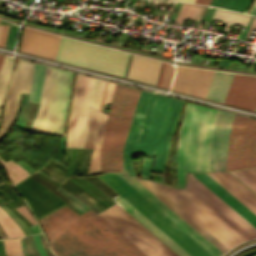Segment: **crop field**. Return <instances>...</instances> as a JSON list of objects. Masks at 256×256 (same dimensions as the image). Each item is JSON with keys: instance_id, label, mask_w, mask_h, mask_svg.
I'll return each instance as SVG.
<instances>
[{"instance_id": "8a807250", "label": "crop field", "mask_w": 256, "mask_h": 256, "mask_svg": "<svg viewBox=\"0 0 256 256\" xmlns=\"http://www.w3.org/2000/svg\"><path fill=\"white\" fill-rule=\"evenodd\" d=\"M181 102L140 92L123 150V171H128L134 177L131 156L136 152L149 155V158H143L140 177L148 179L154 154L156 159L152 171L164 173V163Z\"/></svg>"}, {"instance_id": "ac0d7876", "label": "crop field", "mask_w": 256, "mask_h": 256, "mask_svg": "<svg viewBox=\"0 0 256 256\" xmlns=\"http://www.w3.org/2000/svg\"><path fill=\"white\" fill-rule=\"evenodd\" d=\"M39 223L57 256H138L87 212L64 206Z\"/></svg>"}, {"instance_id": "34b2d1b8", "label": "crop field", "mask_w": 256, "mask_h": 256, "mask_svg": "<svg viewBox=\"0 0 256 256\" xmlns=\"http://www.w3.org/2000/svg\"><path fill=\"white\" fill-rule=\"evenodd\" d=\"M152 183L229 249L256 238V229L190 173L185 189Z\"/></svg>"}, {"instance_id": "412701ff", "label": "crop field", "mask_w": 256, "mask_h": 256, "mask_svg": "<svg viewBox=\"0 0 256 256\" xmlns=\"http://www.w3.org/2000/svg\"><path fill=\"white\" fill-rule=\"evenodd\" d=\"M216 112L187 102L178 137L176 187H184L186 171H208Z\"/></svg>"}, {"instance_id": "f4fd0767", "label": "crop field", "mask_w": 256, "mask_h": 256, "mask_svg": "<svg viewBox=\"0 0 256 256\" xmlns=\"http://www.w3.org/2000/svg\"><path fill=\"white\" fill-rule=\"evenodd\" d=\"M139 90L116 85L100 147L101 172L122 171V150Z\"/></svg>"}, {"instance_id": "dd49c442", "label": "crop field", "mask_w": 256, "mask_h": 256, "mask_svg": "<svg viewBox=\"0 0 256 256\" xmlns=\"http://www.w3.org/2000/svg\"><path fill=\"white\" fill-rule=\"evenodd\" d=\"M128 55L61 36L55 60L123 77Z\"/></svg>"}, {"instance_id": "e52e79f7", "label": "crop field", "mask_w": 256, "mask_h": 256, "mask_svg": "<svg viewBox=\"0 0 256 256\" xmlns=\"http://www.w3.org/2000/svg\"><path fill=\"white\" fill-rule=\"evenodd\" d=\"M98 178L152 221L191 256H211L115 173L100 175Z\"/></svg>"}, {"instance_id": "d8731c3e", "label": "crop field", "mask_w": 256, "mask_h": 256, "mask_svg": "<svg viewBox=\"0 0 256 256\" xmlns=\"http://www.w3.org/2000/svg\"><path fill=\"white\" fill-rule=\"evenodd\" d=\"M73 75L53 68L41 133L63 135Z\"/></svg>"}, {"instance_id": "5a996713", "label": "crop field", "mask_w": 256, "mask_h": 256, "mask_svg": "<svg viewBox=\"0 0 256 256\" xmlns=\"http://www.w3.org/2000/svg\"><path fill=\"white\" fill-rule=\"evenodd\" d=\"M147 256H177L117 205L98 214Z\"/></svg>"}, {"instance_id": "3316defc", "label": "crop field", "mask_w": 256, "mask_h": 256, "mask_svg": "<svg viewBox=\"0 0 256 256\" xmlns=\"http://www.w3.org/2000/svg\"><path fill=\"white\" fill-rule=\"evenodd\" d=\"M256 166V120L234 116L226 170Z\"/></svg>"}, {"instance_id": "28ad6ade", "label": "crop field", "mask_w": 256, "mask_h": 256, "mask_svg": "<svg viewBox=\"0 0 256 256\" xmlns=\"http://www.w3.org/2000/svg\"><path fill=\"white\" fill-rule=\"evenodd\" d=\"M33 66L34 64L19 59L12 74L0 127V140L7 134L15 120L21 92L29 93Z\"/></svg>"}, {"instance_id": "d1516ede", "label": "crop field", "mask_w": 256, "mask_h": 256, "mask_svg": "<svg viewBox=\"0 0 256 256\" xmlns=\"http://www.w3.org/2000/svg\"><path fill=\"white\" fill-rule=\"evenodd\" d=\"M94 81V78L77 74L67 133V147L79 145Z\"/></svg>"}, {"instance_id": "22f410ed", "label": "crop field", "mask_w": 256, "mask_h": 256, "mask_svg": "<svg viewBox=\"0 0 256 256\" xmlns=\"http://www.w3.org/2000/svg\"><path fill=\"white\" fill-rule=\"evenodd\" d=\"M130 186H132L137 192H139L144 198H146L151 204H153L158 210L166 215L171 221H173L178 227H180L185 233H187L192 239L200 244L205 250H207L213 256H221L223 253L213 246L208 240L194 230L189 224L181 219L176 213L168 208L163 202L149 192L144 186H142L134 178L128 176L126 172L116 173Z\"/></svg>"}, {"instance_id": "cbeb9de0", "label": "crop field", "mask_w": 256, "mask_h": 256, "mask_svg": "<svg viewBox=\"0 0 256 256\" xmlns=\"http://www.w3.org/2000/svg\"><path fill=\"white\" fill-rule=\"evenodd\" d=\"M234 114L217 112L211 140L209 171L225 170L227 141Z\"/></svg>"}, {"instance_id": "5142ce71", "label": "crop field", "mask_w": 256, "mask_h": 256, "mask_svg": "<svg viewBox=\"0 0 256 256\" xmlns=\"http://www.w3.org/2000/svg\"><path fill=\"white\" fill-rule=\"evenodd\" d=\"M29 180L32 184H34L36 187H38L40 190H42L44 193L48 194L53 200L57 201L61 205L66 204L61 199H59L54 193L40 185L37 181H35L30 176L26 178ZM23 180L21 182L25 183L27 186H29L32 190L39 193L41 196H43L46 200H48L50 203H52L57 208L60 207L57 202L53 201L48 195L44 194L42 191H40L38 188L33 186L30 182L27 180ZM18 183L14 185V187L20 192V194L23 196V198L26 200V202L29 204L32 212L34 213L36 219L48 214L49 212L55 210L54 206L51 205L49 202H47L44 198H42L40 195L36 194L34 191H32L29 187H27L23 183ZM56 208V209H57Z\"/></svg>"}, {"instance_id": "d9b57169", "label": "crop field", "mask_w": 256, "mask_h": 256, "mask_svg": "<svg viewBox=\"0 0 256 256\" xmlns=\"http://www.w3.org/2000/svg\"><path fill=\"white\" fill-rule=\"evenodd\" d=\"M105 81L100 82L86 142L84 148H92V156L89 164L88 171L100 170L99 169V147L103 135V130L106 122L107 115L99 111L104 88Z\"/></svg>"}, {"instance_id": "733c2abd", "label": "crop field", "mask_w": 256, "mask_h": 256, "mask_svg": "<svg viewBox=\"0 0 256 256\" xmlns=\"http://www.w3.org/2000/svg\"><path fill=\"white\" fill-rule=\"evenodd\" d=\"M223 103L253 111L256 106V77L235 74Z\"/></svg>"}, {"instance_id": "4a817a6b", "label": "crop field", "mask_w": 256, "mask_h": 256, "mask_svg": "<svg viewBox=\"0 0 256 256\" xmlns=\"http://www.w3.org/2000/svg\"><path fill=\"white\" fill-rule=\"evenodd\" d=\"M207 71L208 70L205 69L177 66L171 90L199 97ZM210 76L211 73L209 72L205 82L203 94L201 93L203 96L206 93ZM203 96L200 97L204 98Z\"/></svg>"}, {"instance_id": "bc2a9ffb", "label": "crop field", "mask_w": 256, "mask_h": 256, "mask_svg": "<svg viewBox=\"0 0 256 256\" xmlns=\"http://www.w3.org/2000/svg\"><path fill=\"white\" fill-rule=\"evenodd\" d=\"M59 38L58 35L25 28L20 51L54 60Z\"/></svg>"}, {"instance_id": "214f88e0", "label": "crop field", "mask_w": 256, "mask_h": 256, "mask_svg": "<svg viewBox=\"0 0 256 256\" xmlns=\"http://www.w3.org/2000/svg\"><path fill=\"white\" fill-rule=\"evenodd\" d=\"M256 215V196L227 172L207 173Z\"/></svg>"}, {"instance_id": "92a150f3", "label": "crop field", "mask_w": 256, "mask_h": 256, "mask_svg": "<svg viewBox=\"0 0 256 256\" xmlns=\"http://www.w3.org/2000/svg\"><path fill=\"white\" fill-rule=\"evenodd\" d=\"M161 63L133 55L127 78L155 85Z\"/></svg>"}, {"instance_id": "dafd665d", "label": "crop field", "mask_w": 256, "mask_h": 256, "mask_svg": "<svg viewBox=\"0 0 256 256\" xmlns=\"http://www.w3.org/2000/svg\"><path fill=\"white\" fill-rule=\"evenodd\" d=\"M200 181L208 186L213 192H215L220 198L228 203L233 209H235L240 215H242L247 221L256 227V216L242 205L237 199H235L230 193H228L223 187L215 182L206 173L194 174Z\"/></svg>"}, {"instance_id": "00972430", "label": "crop field", "mask_w": 256, "mask_h": 256, "mask_svg": "<svg viewBox=\"0 0 256 256\" xmlns=\"http://www.w3.org/2000/svg\"><path fill=\"white\" fill-rule=\"evenodd\" d=\"M136 180H138L149 191H151L155 196H157L161 201H163L168 207H170L174 212H176L181 218H183L187 223H189L194 229H196L200 234H202L206 239H208L219 250H221L223 253L228 250L213 236H211L206 230H204L199 224H197L192 218H190L186 213H184L179 207H177L172 201H170L165 195H163L159 190H157L152 184L145 180Z\"/></svg>"}, {"instance_id": "a9b5d70f", "label": "crop field", "mask_w": 256, "mask_h": 256, "mask_svg": "<svg viewBox=\"0 0 256 256\" xmlns=\"http://www.w3.org/2000/svg\"><path fill=\"white\" fill-rule=\"evenodd\" d=\"M233 75L215 71L205 98L222 103Z\"/></svg>"}, {"instance_id": "4177f3b9", "label": "crop field", "mask_w": 256, "mask_h": 256, "mask_svg": "<svg viewBox=\"0 0 256 256\" xmlns=\"http://www.w3.org/2000/svg\"><path fill=\"white\" fill-rule=\"evenodd\" d=\"M115 200L122 205L127 211H129L135 218H137L142 224L152 230L157 236H159L164 242H166L170 247H172L181 256H190L182 248H180L176 243H174L170 238H168L164 233H162L158 228H156L149 220H147L143 215H141L137 210H135L131 205H129L120 196L115 198Z\"/></svg>"}, {"instance_id": "730fd06b", "label": "crop field", "mask_w": 256, "mask_h": 256, "mask_svg": "<svg viewBox=\"0 0 256 256\" xmlns=\"http://www.w3.org/2000/svg\"><path fill=\"white\" fill-rule=\"evenodd\" d=\"M75 179V178H74ZM74 179H72V178H69V180H71L72 182H74V183H76V184H78L79 186H81L83 189H85L87 192H89L91 195H93L94 197H96L98 200H100L101 202H103L104 204H106L108 207L109 206H111L110 204H108V203H106L105 201H103L102 199L104 198L105 200H107L109 203H111L112 205H114V204H116L115 202H113L112 200H110L107 196H105L102 192H100L98 189H96L94 186H92L89 182H87L85 179H83L82 177H79V178H77L79 181H81L82 183H84L85 185H87V186H89L91 189H93L96 193H98L101 197H103L102 199L101 198H99L97 195H95L96 193L93 191V190H91L89 187H87L88 189H90L91 191H93V192H91L90 190H88L86 187H84L83 185H81L80 183H78L77 181H75ZM68 179L66 180V181H68L69 183H71V184H73L71 181H69ZM64 182L63 184H62V186L61 187H63V188H65V189H67V190H69V191H71V192H73V193H77V192H80L81 190L83 191V192H85L86 194H88L89 196H91L89 193H87L86 191H84L82 188H80L79 186H77V185H75V184H73L74 186H76L77 188H79V189H81V190H79V189H77L76 187H74V186H72L71 184H69L68 182ZM93 196H91L93 199H95ZM97 199H95L97 202H99L100 204H102L104 207H106V208H108L106 205H104L103 203H101L100 201H98Z\"/></svg>"}, {"instance_id": "eef30255", "label": "crop field", "mask_w": 256, "mask_h": 256, "mask_svg": "<svg viewBox=\"0 0 256 256\" xmlns=\"http://www.w3.org/2000/svg\"><path fill=\"white\" fill-rule=\"evenodd\" d=\"M51 70H52L51 67L46 68V74H45L44 85H43L38 114H37L29 131L37 132V133H40V131H41V125H42V120H43V114H44V109H45V103H46V98H47Z\"/></svg>"}, {"instance_id": "ae1a2a85", "label": "crop field", "mask_w": 256, "mask_h": 256, "mask_svg": "<svg viewBox=\"0 0 256 256\" xmlns=\"http://www.w3.org/2000/svg\"><path fill=\"white\" fill-rule=\"evenodd\" d=\"M45 68L46 66L35 64L28 101L39 103L45 74Z\"/></svg>"}, {"instance_id": "d3111659", "label": "crop field", "mask_w": 256, "mask_h": 256, "mask_svg": "<svg viewBox=\"0 0 256 256\" xmlns=\"http://www.w3.org/2000/svg\"><path fill=\"white\" fill-rule=\"evenodd\" d=\"M212 18L223 20V22H226V23H233V24H238L243 26L246 25L249 19L248 16L226 12L218 9L215 10ZM226 23H222V24L226 25L224 30L228 31L230 24H226Z\"/></svg>"}, {"instance_id": "750c4746", "label": "crop field", "mask_w": 256, "mask_h": 256, "mask_svg": "<svg viewBox=\"0 0 256 256\" xmlns=\"http://www.w3.org/2000/svg\"><path fill=\"white\" fill-rule=\"evenodd\" d=\"M251 0H212L210 5L245 13Z\"/></svg>"}, {"instance_id": "bd1437ed", "label": "crop field", "mask_w": 256, "mask_h": 256, "mask_svg": "<svg viewBox=\"0 0 256 256\" xmlns=\"http://www.w3.org/2000/svg\"><path fill=\"white\" fill-rule=\"evenodd\" d=\"M11 66H12V58L6 56L0 70V112H1V106L3 103L4 97L6 95L7 82H8Z\"/></svg>"}, {"instance_id": "1d83c4d3", "label": "crop field", "mask_w": 256, "mask_h": 256, "mask_svg": "<svg viewBox=\"0 0 256 256\" xmlns=\"http://www.w3.org/2000/svg\"><path fill=\"white\" fill-rule=\"evenodd\" d=\"M0 225L6 232L8 237L24 236L19 227L11 220V218L0 208Z\"/></svg>"}, {"instance_id": "120bbe31", "label": "crop field", "mask_w": 256, "mask_h": 256, "mask_svg": "<svg viewBox=\"0 0 256 256\" xmlns=\"http://www.w3.org/2000/svg\"><path fill=\"white\" fill-rule=\"evenodd\" d=\"M256 193V175L249 169L231 172ZM245 185V186H246Z\"/></svg>"}, {"instance_id": "d32e631a", "label": "crop field", "mask_w": 256, "mask_h": 256, "mask_svg": "<svg viewBox=\"0 0 256 256\" xmlns=\"http://www.w3.org/2000/svg\"><path fill=\"white\" fill-rule=\"evenodd\" d=\"M99 82H100V80L96 79L92 97H91V101H90V105H89V109H88V113H87V117H86V121H85V125H84V129H83V133H82V137H81V141H80V145H79V147H81V148H83V146H84V142H85V138H86V134H87V130H88V126H89V122H90V118H91V114H92V110H93V106H94V102H95V98H96V94H97V90H98V86H99Z\"/></svg>"}, {"instance_id": "5866460e", "label": "crop field", "mask_w": 256, "mask_h": 256, "mask_svg": "<svg viewBox=\"0 0 256 256\" xmlns=\"http://www.w3.org/2000/svg\"><path fill=\"white\" fill-rule=\"evenodd\" d=\"M6 256H23L20 240H2Z\"/></svg>"}, {"instance_id": "028f5c9d", "label": "crop field", "mask_w": 256, "mask_h": 256, "mask_svg": "<svg viewBox=\"0 0 256 256\" xmlns=\"http://www.w3.org/2000/svg\"><path fill=\"white\" fill-rule=\"evenodd\" d=\"M92 214L97 220H99L104 226H106L110 231H112L117 237H119L124 243H126L131 249H133L140 256H145L141 251H139L134 245H132L128 240H126L121 234H119L115 229H113L108 223H106L102 218H100L93 211H88Z\"/></svg>"}, {"instance_id": "e1f06a70", "label": "crop field", "mask_w": 256, "mask_h": 256, "mask_svg": "<svg viewBox=\"0 0 256 256\" xmlns=\"http://www.w3.org/2000/svg\"><path fill=\"white\" fill-rule=\"evenodd\" d=\"M195 8L194 5L183 4L175 20L180 23L185 18H191Z\"/></svg>"}, {"instance_id": "0bd39190", "label": "crop field", "mask_w": 256, "mask_h": 256, "mask_svg": "<svg viewBox=\"0 0 256 256\" xmlns=\"http://www.w3.org/2000/svg\"><path fill=\"white\" fill-rule=\"evenodd\" d=\"M41 170H44L48 175L52 176L53 178H55L56 180H58L61 183L65 179V177H63L62 170H60L56 167H53L49 164H46Z\"/></svg>"}, {"instance_id": "b80d0937", "label": "crop field", "mask_w": 256, "mask_h": 256, "mask_svg": "<svg viewBox=\"0 0 256 256\" xmlns=\"http://www.w3.org/2000/svg\"><path fill=\"white\" fill-rule=\"evenodd\" d=\"M95 180H97L103 187H105L110 193H112L114 196L116 193H114L111 189H109L102 181H100L96 176H92ZM91 176L84 177L89 182L94 184L97 188H99L105 195H107L109 198H113L114 196L110 194L106 189H104L97 181H95Z\"/></svg>"}, {"instance_id": "c035e120", "label": "crop field", "mask_w": 256, "mask_h": 256, "mask_svg": "<svg viewBox=\"0 0 256 256\" xmlns=\"http://www.w3.org/2000/svg\"><path fill=\"white\" fill-rule=\"evenodd\" d=\"M0 207L13 219V221L20 227L26 236L33 234L28 229V227L21 220H19L7 207L4 205H1Z\"/></svg>"}, {"instance_id": "c21b1889", "label": "crop field", "mask_w": 256, "mask_h": 256, "mask_svg": "<svg viewBox=\"0 0 256 256\" xmlns=\"http://www.w3.org/2000/svg\"><path fill=\"white\" fill-rule=\"evenodd\" d=\"M0 188L3 189L6 194L14 200L17 206L22 205V202L19 200L17 197L16 193L14 190H12L10 187H8L5 183L0 184ZM14 208L17 207L15 204H13L11 201H8Z\"/></svg>"}, {"instance_id": "03da06ac", "label": "crop field", "mask_w": 256, "mask_h": 256, "mask_svg": "<svg viewBox=\"0 0 256 256\" xmlns=\"http://www.w3.org/2000/svg\"><path fill=\"white\" fill-rule=\"evenodd\" d=\"M173 72H174V68L171 65L167 64L161 87L167 88V89L170 88Z\"/></svg>"}, {"instance_id": "b54c1fbb", "label": "crop field", "mask_w": 256, "mask_h": 256, "mask_svg": "<svg viewBox=\"0 0 256 256\" xmlns=\"http://www.w3.org/2000/svg\"><path fill=\"white\" fill-rule=\"evenodd\" d=\"M84 153H85V149H78L77 150L76 157H75V160H74V163H73V166H72V169H71V172H70L69 176H76L78 166H79V164L82 160V157H83Z\"/></svg>"}, {"instance_id": "5d738f31", "label": "crop field", "mask_w": 256, "mask_h": 256, "mask_svg": "<svg viewBox=\"0 0 256 256\" xmlns=\"http://www.w3.org/2000/svg\"><path fill=\"white\" fill-rule=\"evenodd\" d=\"M114 86L115 84L107 82L100 110L103 104L111 102Z\"/></svg>"}, {"instance_id": "d23c7cc5", "label": "crop field", "mask_w": 256, "mask_h": 256, "mask_svg": "<svg viewBox=\"0 0 256 256\" xmlns=\"http://www.w3.org/2000/svg\"><path fill=\"white\" fill-rule=\"evenodd\" d=\"M17 31L18 27L10 26L5 47L13 49Z\"/></svg>"}, {"instance_id": "425ffa30", "label": "crop field", "mask_w": 256, "mask_h": 256, "mask_svg": "<svg viewBox=\"0 0 256 256\" xmlns=\"http://www.w3.org/2000/svg\"><path fill=\"white\" fill-rule=\"evenodd\" d=\"M13 213H15L29 228L33 223L29 222L20 212L14 209L11 205L5 204Z\"/></svg>"}, {"instance_id": "25e5ab78", "label": "crop field", "mask_w": 256, "mask_h": 256, "mask_svg": "<svg viewBox=\"0 0 256 256\" xmlns=\"http://www.w3.org/2000/svg\"><path fill=\"white\" fill-rule=\"evenodd\" d=\"M90 151L91 150H87V153L85 155L84 161L82 163L81 169H80L78 174H86L87 167H88V162H89Z\"/></svg>"}, {"instance_id": "73cf0c24", "label": "crop field", "mask_w": 256, "mask_h": 256, "mask_svg": "<svg viewBox=\"0 0 256 256\" xmlns=\"http://www.w3.org/2000/svg\"><path fill=\"white\" fill-rule=\"evenodd\" d=\"M31 177H33L35 180H37L39 183H41L43 186H45L46 188H48L49 190H51L52 192H54L56 195H58L61 199H63L66 202H71L68 199H66L65 197H63L62 195H60L58 192H56L55 190H53L51 187H49L48 185H46L44 182H42L39 178H37L34 174L30 175Z\"/></svg>"}, {"instance_id": "89e229c0", "label": "crop field", "mask_w": 256, "mask_h": 256, "mask_svg": "<svg viewBox=\"0 0 256 256\" xmlns=\"http://www.w3.org/2000/svg\"><path fill=\"white\" fill-rule=\"evenodd\" d=\"M34 238H35L36 246H37V249H38V252H39L40 256H47L45 254L44 250H43L39 235L38 234L35 235Z\"/></svg>"}, {"instance_id": "1f2cbd36", "label": "crop field", "mask_w": 256, "mask_h": 256, "mask_svg": "<svg viewBox=\"0 0 256 256\" xmlns=\"http://www.w3.org/2000/svg\"><path fill=\"white\" fill-rule=\"evenodd\" d=\"M8 28H9V26H3V28H2L1 39H0V46H2V47H4V45H5Z\"/></svg>"}, {"instance_id": "dbb93151", "label": "crop field", "mask_w": 256, "mask_h": 256, "mask_svg": "<svg viewBox=\"0 0 256 256\" xmlns=\"http://www.w3.org/2000/svg\"><path fill=\"white\" fill-rule=\"evenodd\" d=\"M36 173H37V172H36ZM39 173H40V172H39ZM34 174H35V173H34ZM40 174L43 175V176H44L45 178H47L48 180H50L51 182H53V183H54L55 185H57L58 187L61 185V184H59L58 182H56L55 180H53L52 178H50V177H48V176H46V175H44V174H42V173H40ZM40 174H39V175H40ZM35 175H36V174H35ZM36 176H38V175H36ZM38 177H39V176H38ZM40 177H41V176H40ZM40 177H39V178H40ZM41 178H42V177H41ZM41 178H40V179H41ZM42 179H44V178H42ZM42 179H41V180H42ZM47 179H46V180H47ZM44 180H45V179H44ZM46 180H45V181H46ZM45 181H44V182H45ZM50 181H49V182H50ZM51 182H50V183H51ZM45 183H47V182H45ZM47 184H48V183H47ZM51 184H52V183H51ZM54 184H52V185H54ZM48 185L51 186L50 184H48ZM55 185H54V186H55ZM57 186H56V187H57ZM51 187H52V186H51ZM58 187H57V188H58ZM52 188H53V187H52ZM53 189H55V188H53ZM55 190H56V189H55Z\"/></svg>"}, {"instance_id": "0fb4a251", "label": "crop field", "mask_w": 256, "mask_h": 256, "mask_svg": "<svg viewBox=\"0 0 256 256\" xmlns=\"http://www.w3.org/2000/svg\"><path fill=\"white\" fill-rule=\"evenodd\" d=\"M48 163H50V164H52V165H55V166H57V167H59V168H62V169H65V167H66L65 164L60 163V162H58V161H56V160H53V159H51V158L48 160Z\"/></svg>"}, {"instance_id": "1d79db26", "label": "crop field", "mask_w": 256, "mask_h": 256, "mask_svg": "<svg viewBox=\"0 0 256 256\" xmlns=\"http://www.w3.org/2000/svg\"><path fill=\"white\" fill-rule=\"evenodd\" d=\"M75 151H76V149H72L70 163H69L68 169H67L66 174H65L66 177H68V175H69Z\"/></svg>"}, {"instance_id": "9d1cf04e", "label": "crop field", "mask_w": 256, "mask_h": 256, "mask_svg": "<svg viewBox=\"0 0 256 256\" xmlns=\"http://www.w3.org/2000/svg\"><path fill=\"white\" fill-rule=\"evenodd\" d=\"M249 13L256 15V0L254 1Z\"/></svg>"}, {"instance_id": "447ae74e", "label": "crop field", "mask_w": 256, "mask_h": 256, "mask_svg": "<svg viewBox=\"0 0 256 256\" xmlns=\"http://www.w3.org/2000/svg\"><path fill=\"white\" fill-rule=\"evenodd\" d=\"M82 194H84V193H82ZM82 194H81V195H82ZM84 195H86V194H84ZM84 195H82V196H84ZM86 196H87V195H86ZM84 197H85V196H84ZM87 197H88V196H87ZM87 197H85V198H87ZM89 198H90V197H89ZM89 198H87L89 201L93 200V199H91V198H90V199H91V200H90ZM93 201H94V200H93ZM93 201H91V202H92V203L95 202V203H96L98 206H100L102 209H105V208L102 207L100 204H98L96 201H94V202H93ZM95 203H94V204H95ZM96 204H95V206H96L97 208H99L101 211H103V210H102L100 207H98Z\"/></svg>"}, {"instance_id": "0765c3eb", "label": "crop field", "mask_w": 256, "mask_h": 256, "mask_svg": "<svg viewBox=\"0 0 256 256\" xmlns=\"http://www.w3.org/2000/svg\"><path fill=\"white\" fill-rule=\"evenodd\" d=\"M211 0H195L196 3L206 4L209 5Z\"/></svg>"}, {"instance_id": "db79e9e6", "label": "crop field", "mask_w": 256, "mask_h": 256, "mask_svg": "<svg viewBox=\"0 0 256 256\" xmlns=\"http://www.w3.org/2000/svg\"><path fill=\"white\" fill-rule=\"evenodd\" d=\"M165 65H166V63L164 62V64H163V68H162V72H161V76H160V80H159V84H158V86H159V87H160V85H161V81H162V77H163V73H164Z\"/></svg>"}, {"instance_id": "7b73153f", "label": "crop field", "mask_w": 256, "mask_h": 256, "mask_svg": "<svg viewBox=\"0 0 256 256\" xmlns=\"http://www.w3.org/2000/svg\"><path fill=\"white\" fill-rule=\"evenodd\" d=\"M68 151H69V148H66L65 161H64L65 163H66V161H67ZM70 151H71V149H70ZM70 151H69V156H70ZM69 156H68V161H67V163L69 162Z\"/></svg>"}, {"instance_id": "78b8030e", "label": "crop field", "mask_w": 256, "mask_h": 256, "mask_svg": "<svg viewBox=\"0 0 256 256\" xmlns=\"http://www.w3.org/2000/svg\"><path fill=\"white\" fill-rule=\"evenodd\" d=\"M0 196H2L6 201L10 200L1 190H0Z\"/></svg>"}, {"instance_id": "0f1d7ab4", "label": "crop field", "mask_w": 256, "mask_h": 256, "mask_svg": "<svg viewBox=\"0 0 256 256\" xmlns=\"http://www.w3.org/2000/svg\"><path fill=\"white\" fill-rule=\"evenodd\" d=\"M4 57H5V56L0 55V67H1V64H2V62H3Z\"/></svg>"}, {"instance_id": "e1d0b9f6", "label": "crop field", "mask_w": 256, "mask_h": 256, "mask_svg": "<svg viewBox=\"0 0 256 256\" xmlns=\"http://www.w3.org/2000/svg\"><path fill=\"white\" fill-rule=\"evenodd\" d=\"M198 8H199V6H197V8H196V10H195V12H194V14H193V16H192V19H194V17H195V15H196V12H197ZM196 16H197V15H196ZM195 18H196V17H195Z\"/></svg>"}, {"instance_id": "ae633e8c", "label": "crop field", "mask_w": 256, "mask_h": 256, "mask_svg": "<svg viewBox=\"0 0 256 256\" xmlns=\"http://www.w3.org/2000/svg\"><path fill=\"white\" fill-rule=\"evenodd\" d=\"M0 230H1L2 234L4 235V237H6L4 231H3V229H2L1 227H0ZM1 232H0V235H1V237H3V235L1 234Z\"/></svg>"}, {"instance_id": "d14b1444", "label": "crop field", "mask_w": 256, "mask_h": 256, "mask_svg": "<svg viewBox=\"0 0 256 256\" xmlns=\"http://www.w3.org/2000/svg\"><path fill=\"white\" fill-rule=\"evenodd\" d=\"M208 61H209V60H206V59L203 58V59H201L200 62H201V63H208Z\"/></svg>"}, {"instance_id": "c39391a2", "label": "crop field", "mask_w": 256, "mask_h": 256, "mask_svg": "<svg viewBox=\"0 0 256 256\" xmlns=\"http://www.w3.org/2000/svg\"><path fill=\"white\" fill-rule=\"evenodd\" d=\"M32 1H33V0H27L26 3H25V5L29 6Z\"/></svg>"}, {"instance_id": "ade564c9", "label": "crop field", "mask_w": 256, "mask_h": 256, "mask_svg": "<svg viewBox=\"0 0 256 256\" xmlns=\"http://www.w3.org/2000/svg\"><path fill=\"white\" fill-rule=\"evenodd\" d=\"M250 170L253 171L256 174V168H252Z\"/></svg>"}, {"instance_id": "c5b07064", "label": "crop field", "mask_w": 256, "mask_h": 256, "mask_svg": "<svg viewBox=\"0 0 256 256\" xmlns=\"http://www.w3.org/2000/svg\"><path fill=\"white\" fill-rule=\"evenodd\" d=\"M183 1H190V2H194V0H183Z\"/></svg>"}, {"instance_id": "c3a83c6f", "label": "crop field", "mask_w": 256, "mask_h": 256, "mask_svg": "<svg viewBox=\"0 0 256 256\" xmlns=\"http://www.w3.org/2000/svg\"><path fill=\"white\" fill-rule=\"evenodd\" d=\"M1 28H2V26H0V33H1Z\"/></svg>"}, {"instance_id": "fb207236", "label": "crop field", "mask_w": 256, "mask_h": 256, "mask_svg": "<svg viewBox=\"0 0 256 256\" xmlns=\"http://www.w3.org/2000/svg\"><path fill=\"white\" fill-rule=\"evenodd\" d=\"M4 256H5V254H3ZM0 256H2L1 254H0Z\"/></svg>"}, {"instance_id": "7312dd0a", "label": "crop field", "mask_w": 256, "mask_h": 256, "mask_svg": "<svg viewBox=\"0 0 256 256\" xmlns=\"http://www.w3.org/2000/svg\"><path fill=\"white\" fill-rule=\"evenodd\" d=\"M14 1H16V0H14Z\"/></svg>"}, {"instance_id": "180be81f", "label": "crop field", "mask_w": 256, "mask_h": 256, "mask_svg": "<svg viewBox=\"0 0 256 256\" xmlns=\"http://www.w3.org/2000/svg\"><path fill=\"white\" fill-rule=\"evenodd\" d=\"M0 202H2V201H0Z\"/></svg>"}, {"instance_id": "f0312440", "label": "crop field", "mask_w": 256, "mask_h": 256, "mask_svg": "<svg viewBox=\"0 0 256 256\" xmlns=\"http://www.w3.org/2000/svg\"><path fill=\"white\" fill-rule=\"evenodd\" d=\"M256 111V110H255Z\"/></svg>"}]
</instances>
